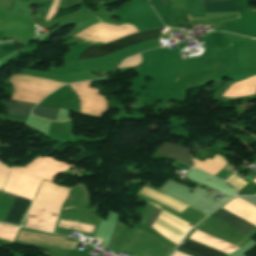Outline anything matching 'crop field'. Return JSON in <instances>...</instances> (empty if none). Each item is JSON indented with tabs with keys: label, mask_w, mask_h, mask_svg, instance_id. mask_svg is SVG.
<instances>
[{
	"label": "crop field",
	"mask_w": 256,
	"mask_h": 256,
	"mask_svg": "<svg viewBox=\"0 0 256 256\" xmlns=\"http://www.w3.org/2000/svg\"><path fill=\"white\" fill-rule=\"evenodd\" d=\"M28 203V200L17 196L4 222L19 224Z\"/></svg>",
	"instance_id": "d8731c3e"
},
{
	"label": "crop field",
	"mask_w": 256,
	"mask_h": 256,
	"mask_svg": "<svg viewBox=\"0 0 256 256\" xmlns=\"http://www.w3.org/2000/svg\"><path fill=\"white\" fill-rule=\"evenodd\" d=\"M46 158H37L31 165L23 168H30L41 161L45 160ZM60 168V163L52 160L47 159L44 162L30 168V169H21L16 170L37 178L48 180L52 178L54 173ZM70 168H73V166H70L68 164L61 162V168L56 172L55 175L58 173L68 170ZM12 169H20V168H12ZM12 170V173L4 187V190L13 194H17L29 199H32L40 182L41 179H37L19 172H16ZM54 175V176H55ZM53 176V177H54ZM53 178L49 181L52 182Z\"/></svg>",
	"instance_id": "8a807250"
},
{
	"label": "crop field",
	"mask_w": 256,
	"mask_h": 256,
	"mask_svg": "<svg viewBox=\"0 0 256 256\" xmlns=\"http://www.w3.org/2000/svg\"><path fill=\"white\" fill-rule=\"evenodd\" d=\"M58 109L59 108H56V107L38 105L37 107H35L33 109L32 114L41 116V117H45V118H49V119H52L55 121L57 113H58Z\"/></svg>",
	"instance_id": "28ad6ade"
},
{
	"label": "crop field",
	"mask_w": 256,
	"mask_h": 256,
	"mask_svg": "<svg viewBox=\"0 0 256 256\" xmlns=\"http://www.w3.org/2000/svg\"><path fill=\"white\" fill-rule=\"evenodd\" d=\"M226 182H228L229 184H231L232 186L239 190H241L243 186L247 183L234 174Z\"/></svg>",
	"instance_id": "22f410ed"
},
{
	"label": "crop field",
	"mask_w": 256,
	"mask_h": 256,
	"mask_svg": "<svg viewBox=\"0 0 256 256\" xmlns=\"http://www.w3.org/2000/svg\"><path fill=\"white\" fill-rule=\"evenodd\" d=\"M190 238H192L194 240H197V241H199V242H201V243H203L205 245H208V246H210V247H212L214 249H217V250H219V251H221V252H223L225 254L229 255V254L232 253V252H230V251H228L226 249H223V248H221L219 246H216V245H214V244H212L210 242H207V241H205L203 239H200V238H198V237H196L194 235L190 236ZM190 238H188L187 241L184 244L180 243L179 247L184 248V249H186L188 251H191V252L196 253V254L201 255V256H227V255H225V254H223V253H221L219 251H216V250H214V249H212V248H210L208 246H205V245H203V244H201L199 242H196V241H194V240H192ZM179 247H177V250H179V251H181L183 253H186V254H188L190 256H198L196 254L188 252V251H186L184 249H181ZM179 251L175 250V252L172 254V256H188V255L183 254V253H181Z\"/></svg>",
	"instance_id": "412701ff"
},
{
	"label": "crop field",
	"mask_w": 256,
	"mask_h": 256,
	"mask_svg": "<svg viewBox=\"0 0 256 256\" xmlns=\"http://www.w3.org/2000/svg\"><path fill=\"white\" fill-rule=\"evenodd\" d=\"M211 218L221 222L222 224L234 229L235 231L245 236L256 228L222 208L214 215H212Z\"/></svg>",
	"instance_id": "f4fd0767"
},
{
	"label": "crop field",
	"mask_w": 256,
	"mask_h": 256,
	"mask_svg": "<svg viewBox=\"0 0 256 256\" xmlns=\"http://www.w3.org/2000/svg\"><path fill=\"white\" fill-rule=\"evenodd\" d=\"M139 193L181 213L187 206L156 191L144 187Z\"/></svg>",
	"instance_id": "dd49c442"
},
{
	"label": "crop field",
	"mask_w": 256,
	"mask_h": 256,
	"mask_svg": "<svg viewBox=\"0 0 256 256\" xmlns=\"http://www.w3.org/2000/svg\"><path fill=\"white\" fill-rule=\"evenodd\" d=\"M162 213L163 211L156 207L147 225L151 227ZM188 225L189 224L164 212L151 228L163 237L178 245L183 237L191 229V227H189Z\"/></svg>",
	"instance_id": "ac0d7876"
},
{
	"label": "crop field",
	"mask_w": 256,
	"mask_h": 256,
	"mask_svg": "<svg viewBox=\"0 0 256 256\" xmlns=\"http://www.w3.org/2000/svg\"><path fill=\"white\" fill-rule=\"evenodd\" d=\"M15 102V101H12ZM6 106L7 112L6 114H16V115H24L28 116L30 114V110L35 106L34 104L30 103H23V102H16L15 104L12 103H2Z\"/></svg>",
	"instance_id": "3316defc"
},
{
	"label": "crop field",
	"mask_w": 256,
	"mask_h": 256,
	"mask_svg": "<svg viewBox=\"0 0 256 256\" xmlns=\"http://www.w3.org/2000/svg\"><path fill=\"white\" fill-rule=\"evenodd\" d=\"M159 37H160V30H148V31L139 32V33L127 36L125 38L107 43L105 45L91 46L80 54L79 60L106 55L108 53L122 49L124 47L130 46L145 40L156 39Z\"/></svg>",
	"instance_id": "34b2d1b8"
},
{
	"label": "crop field",
	"mask_w": 256,
	"mask_h": 256,
	"mask_svg": "<svg viewBox=\"0 0 256 256\" xmlns=\"http://www.w3.org/2000/svg\"><path fill=\"white\" fill-rule=\"evenodd\" d=\"M157 152L169 155L192 166V159L189 155V150L184 147L163 143Z\"/></svg>",
	"instance_id": "e52e79f7"
},
{
	"label": "crop field",
	"mask_w": 256,
	"mask_h": 256,
	"mask_svg": "<svg viewBox=\"0 0 256 256\" xmlns=\"http://www.w3.org/2000/svg\"><path fill=\"white\" fill-rule=\"evenodd\" d=\"M2 48L4 50H6L7 52L16 50L15 46H6V47H2Z\"/></svg>",
	"instance_id": "cbeb9de0"
},
{
	"label": "crop field",
	"mask_w": 256,
	"mask_h": 256,
	"mask_svg": "<svg viewBox=\"0 0 256 256\" xmlns=\"http://www.w3.org/2000/svg\"><path fill=\"white\" fill-rule=\"evenodd\" d=\"M208 1H216V0H205ZM237 0H225V1H217V2H209L205 3L206 12H232L237 11L233 2Z\"/></svg>",
	"instance_id": "5a996713"
},
{
	"label": "crop field",
	"mask_w": 256,
	"mask_h": 256,
	"mask_svg": "<svg viewBox=\"0 0 256 256\" xmlns=\"http://www.w3.org/2000/svg\"><path fill=\"white\" fill-rule=\"evenodd\" d=\"M19 228L0 224V238L13 241Z\"/></svg>",
	"instance_id": "d1516ede"
}]
</instances>
